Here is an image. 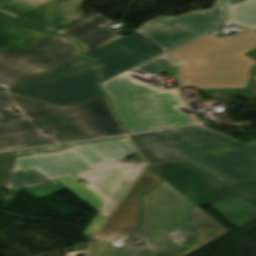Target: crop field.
Here are the masks:
<instances>
[{"instance_id": "crop-field-1", "label": "crop field", "mask_w": 256, "mask_h": 256, "mask_svg": "<svg viewBox=\"0 0 256 256\" xmlns=\"http://www.w3.org/2000/svg\"><path fill=\"white\" fill-rule=\"evenodd\" d=\"M124 133L106 97L59 106L9 90L0 92V150Z\"/></svg>"}, {"instance_id": "crop-field-2", "label": "crop field", "mask_w": 256, "mask_h": 256, "mask_svg": "<svg viewBox=\"0 0 256 256\" xmlns=\"http://www.w3.org/2000/svg\"><path fill=\"white\" fill-rule=\"evenodd\" d=\"M142 222L133 237L146 248L126 245L119 256H187L230 232L164 180L143 196Z\"/></svg>"}, {"instance_id": "crop-field-3", "label": "crop field", "mask_w": 256, "mask_h": 256, "mask_svg": "<svg viewBox=\"0 0 256 256\" xmlns=\"http://www.w3.org/2000/svg\"><path fill=\"white\" fill-rule=\"evenodd\" d=\"M133 137L151 162L189 161L223 187L256 178V148L206 128Z\"/></svg>"}, {"instance_id": "crop-field-4", "label": "crop field", "mask_w": 256, "mask_h": 256, "mask_svg": "<svg viewBox=\"0 0 256 256\" xmlns=\"http://www.w3.org/2000/svg\"><path fill=\"white\" fill-rule=\"evenodd\" d=\"M256 48V32L231 38L208 34L168 55L181 63V88L246 87L256 61L243 54Z\"/></svg>"}, {"instance_id": "crop-field-5", "label": "crop field", "mask_w": 256, "mask_h": 256, "mask_svg": "<svg viewBox=\"0 0 256 256\" xmlns=\"http://www.w3.org/2000/svg\"><path fill=\"white\" fill-rule=\"evenodd\" d=\"M77 144L0 153V158L33 153V155L17 157L13 170L26 171L27 189L137 153L128 138Z\"/></svg>"}, {"instance_id": "crop-field-6", "label": "crop field", "mask_w": 256, "mask_h": 256, "mask_svg": "<svg viewBox=\"0 0 256 256\" xmlns=\"http://www.w3.org/2000/svg\"><path fill=\"white\" fill-rule=\"evenodd\" d=\"M101 86L129 133L198 123L193 114L177 108L185 105L177 90L155 89L131 79L128 71Z\"/></svg>"}, {"instance_id": "crop-field-7", "label": "crop field", "mask_w": 256, "mask_h": 256, "mask_svg": "<svg viewBox=\"0 0 256 256\" xmlns=\"http://www.w3.org/2000/svg\"><path fill=\"white\" fill-rule=\"evenodd\" d=\"M150 166L197 204L208 205L236 228L256 218V180L222 188L188 163L175 161Z\"/></svg>"}, {"instance_id": "crop-field-8", "label": "crop field", "mask_w": 256, "mask_h": 256, "mask_svg": "<svg viewBox=\"0 0 256 256\" xmlns=\"http://www.w3.org/2000/svg\"><path fill=\"white\" fill-rule=\"evenodd\" d=\"M97 75L92 62L80 56L9 90L63 105L104 97Z\"/></svg>"}, {"instance_id": "crop-field-9", "label": "crop field", "mask_w": 256, "mask_h": 256, "mask_svg": "<svg viewBox=\"0 0 256 256\" xmlns=\"http://www.w3.org/2000/svg\"><path fill=\"white\" fill-rule=\"evenodd\" d=\"M141 162H115L100 168L77 174L89 182L88 185L78 183L75 175L60 179L65 186L86 201L100 213L84 231L95 234L100 225L111 213L131 183L140 174L145 162L138 155Z\"/></svg>"}, {"instance_id": "crop-field-10", "label": "crop field", "mask_w": 256, "mask_h": 256, "mask_svg": "<svg viewBox=\"0 0 256 256\" xmlns=\"http://www.w3.org/2000/svg\"><path fill=\"white\" fill-rule=\"evenodd\" d=\"M79 46L50 35L11 53L0 49V86L9 89L78 56Z\"/></svg>"}, {"instance_id": "crop-field-11", "label": "crop field", "mask_w": 256, "mask_h": 256, "mask_svg": "<svg viewBox=\"0 0 256 256\" xmlns=\"http://www.w3.org/2000/svg\"><path fill=\"white\" fill-rule=\"evenodd\" d=\"M226 22V0L208 10L143 23L135 32L163 52ZM221 26V25H220Z\"/></svg>"}, {"instance_id": "crop-field-12", "label": "crop field", "mask_w": 256, "mask_h": 256, "mask_svg": "<svg viewBox=\"0 0 256 256\" xmlns=\"http://www.w3.org/2000/svg\"><path fill=\"white\" fill-rule=\"evenodd\" d=\"M87 0H0V14L25 25L57 32L86 19L80 6Z\"/></svg>"}, {"instance_id": "crop-field-13", "label": "crop field", "mask_w": 256, "mask_h": 256, "mask_svg": "<svg viewBox=\"0 0 256 256\" xmlns=\"http://www.w3.org/2000/svg\"><path fill=\"white\" fill-rule=\"evenodd\" d=\"M160 54L131 33L85 55L96 61L103 81Z\"/></svg>"}, {"instance_id": "crop-field-14", "label": "crop field", "mask_w": 256, "mask_h": 256, "mask_svg": "<svg viewBox=\"0 0 256 256\" xmlns=\"http://www.w3.org/2000/svg\"><path fill=\"white\" fill-rule=\"evenodd\" d=\"M147 166L125 199L101 229L97 236L127 241L140 224V195L161 181Z\"/></svg>"}, {"instance_id": "crop-field-15", "label": "crop field", "mask_w": 256, "mask_h": 256, "mask_svg": "<svg viewBox=\"0 0 256 256\" xmlns=\"http://www.w3.org/2000/svg\"><path fill=\"white\" fill-rule=\"evenodd\" d=\"M113 22L109 18L96 14L80 23L70 26L57 33H61L84 46V54L105 45L120 37L118 33L106 25Z\"/></svg>"}, {"instance_id": "crop-field-16", "label": "crop field", "mask_w": 256, "mask_h": 256, "mask_svg": "<svg viewBox=\"0 0 256 256\" xmlns=\"http://www.w3.org/2000/svg\"><path fill=\"white\" fill-rule=\"evenodd\" d=\"M50 35L35 28H24L0 17V48L8 52Z\"/></svg>"}, {"instance_id": "crop-field-17", "label": "crop field", "mask_w": 256, "mask_h": 256, "mask_svg": "<svg viewBox=\"0 0 256 256\" xmlns=\"http://www.w3.org/2000/svg\"><path fill=\"white\" fill-rule=\"evenodd\" d=\"M230 23L256 30V0H230Z\"/></svg>"}, {"instance_id": "crop-field-18", "label": "crop field", "mask_w": 256, "mask_h": 256, "mask_svg": "<svg viewBox=\"0 0 256 256\" xmlns=\"http://www.w3.org/2000/svg\"><path fill=\"white\" fill-rule=\"evenodd\" d=\"M136 69L152 75H156L165 70L169 73V76H177L176 63L167 57H160Z\"/></svg>"}, {"instance_id": "crop-field-19", "label": "crop field", "mask_w": 256, "mask_h": 256, "mask_svg": "<svg viewBox=\"0 0 256 256\" xmlns=\"http://www.w3.org/2000/svg\"><path fill=\"white\" fill-rule=\"evenodd\" d=\"M112 244V241L98 239L97 243H91L86 256H116L122 247Z\"/></svg>"}, {"instance_id": "crop-field-20", "label": "crop field", "mask_w": 256, "mask_h": 256, "mask_svg": "<svg viewBox=\"0 0 256 256\" xmlns=\"http://www.w3.org/2000/svg\"><path fill=\"white\" fill-rule=\"evenodd\" d=\"M15 158L0 159V188H7Z\"/></svg>"}, {"instance_id": "crop-field-21", "label": "crop field", "mask_w": 256, "mask_h": 256, "mask_svg": "<svg viewBox=\"0 0 256 256\" xmlns=\"http://www.w3.org/2000/svg\"><path fill=\"white\" fill-rule=\"evenodd\" d=\"M8 188L25 189V172H13Z\"/></svg>"}, {"instance_id": "crop-field-22", "label": "crop field", "mask_w": 256, "mask_h": 256, "mask_svg": "<svg viewBox=\"0 0 256 256\" xmlns=\"http://www.w3.org/2000/svg\"><path fill=\"white\" fill-rule=\"evenodd\" d=\"M245 55H247V56H249V57H251V58L256 60V49L251 51V52H249V53H247V54H245Z\"/></svg>"}, {"instance_id": "crop-field-23", "label": "crop field", "mask_w": 256, "mask_h": 256, "mask_svg": "<svg viewBox=\"0 0 256 256\" xmlns=\"http://www.w3.org/2000/svg\"><path fill=\"white\" fill-rule=\"evenodd\" d=\"M250 145H253V146H255V147H256V141H254V142L250 143Z\"/></svg>"}, {"instance_id": "crop-field-24", "label": "crop field", "mask_w": 256, "mask_h": 256, "mask_svg": "<svg viewBox=\"0 0 256 256\" xmlns=\"http://www.w3.org/2000/svg\"><path fill=\"white\" fill-rule=\"evenodd\" d=\"M0 90H4V89L0 87Z\"/></svg>"}]
</instances>
